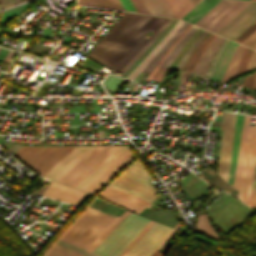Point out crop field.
Masks as SVG:
<instances>
[{"label":"crop field","instance_id":"obj_1","mask_svg":"<svg viewBox=\"0 0 256 256\" xmlns=\"http://www.w3.org/2000/svg\"><path fill=\"white\" fill-rule=\"evenodd\" d=\"M166 20L126 13L87 55L113 68L112 73L120 71ZM148 30L153 33L145 38Z\"/></svg>","mask_w":256,"mask_h":256},{"label":"crop field","instance_id":"obj_2","mask_svg":"<svg viewBox=\"0 0 256 256\" xmlns=\"http://www.w3.org/2000/svg\"><path fill=\"white\" fill-rule=\"evenodd\" d=\"M251 117L245 116L233 186L240 190L239 200L248 202L256 163V124L249 126Z\"/></svg>","mask_w":256,"mask_h":256},{"label":"crop field","instance_id":"obj_3","mask_svg":"<svg viewBox=\"0 0 256 256\" xmlns=\"http://www.w3.org/2000/svg\"><path fill=\"white\" fill-rule=\"evenodd\" d=\"M150 220L129 214L93 251L100 256H119Z\"/></svg>","mask_w":256,"mask_h":256},{"label":"crop field","instance_id":"obj_4","mask_svg":"<svg viewBox=\"0 0 256 256\" xmlns=\"http://www.w3.org/2000/svg\"><path fill=\"white\" fill-rule=\"evenodd\" d=\"M74 147L75 146H22L13 155L43 176Z\"/></svg>","mask_w":256,"mask_h":256},{"label":"crop field","instance_id":"obj_5","mask_svg":"<svg viewBox=\"0 0 256 256\" xmlns=\"http://www.w3.org/2000/svg\"><path fill=\"white\" fill-rule=\"evenodd\" d=\"M250 3L248 1L222 0L195 25L216 33Z\"/></svg>","mask_w":256,"mask_h":256},{"label":"crop field","instance_id":"obj_6","mask_svg":"<svg viewBox=\"0 0 256 256\" xmlns=\"http://www.w3.org/2000/svg\"><path fill=\"white\" fill-rule=\"evenodd\" d=\"M105 230L106 227L79 216L66 230L62 238L88 249Z\"/></svg>","mask_w":256,"mask_h":256},{"label":"crop field","instance_id":"obj_7","mask_svg":"<svg viewBox=\"0 0 256 256\" xmlns=\"http://www.w3.org/2000/svg\"><path fill=\"white\" fill-rule=\"evenodd\" d=\"M118 146H96L76 164L59 182L74 187Z\"/></svg>","mask_w":256,"mask_h":256},{"label":"crop field","instance_id":"obj_8","mask_svg":"<svg viewBox=\"0 0 256 256\" xmlns=\"http://www.w3.org/2000/svg\"><path fill=\"white\" fill-rule=\"evenodd\" d=\"M134 158L129 148L122 153L112 164H110L100 175H98L83 191L95 195L105 186L118 172H120Z\"/></svg>","mask_w":256,"mask_h":256},{"label":"crop field","instance_id":"obj_9","mask_svg":"<svg viewBox=\"0 0 256 256\" xmlns=\"http://www.w3.org/2000/svg\"><path fill=\"white\" fill-rule=\"evenodd\" d=\"M236 114L224 112L220 130H224L218 173L226 181Z\"/></svg>","mask_w":256,"mask_h":256},{"label":"crop field","instance_id":"obj_10","mask_svg":"<svg viewBox=\"0 0 256 256\" xmlns=\"http://www.w3.org/2000/svg\"><path fill=\"white\" fill-rule=\"evenodd\" d=\"M170 230L171 228L155 222L128 256H149Z\"/></svg>","mask_w":256,"mask_h":256},{"label":"crop field","instance_id":"obj_11","mask_svg":"<svg viewBox=\"0 0 256 256\" xmlns=\"http://www.w3.org/2000/svg\"><path fill=\"white\" fill-rule=\"evenodd\" d=\"M255 20L256 2H252L228 24H226L220 31H218L217 34L233 40Z\"/></svg>","mask_w":256,"mask_h":256},{"label":"crop field","instance_id":"obj_12","mask_svg":"<svg viewBox=\"0 0 256 256\" xmlns=\"http://www.w3.org/2000/svg\"><path fill=\"white\" fill-rule=\"evenodd\" d=\"M95 146H76L59 163H57L44 177L58 181L65 175L76 163H78Z\"/></svg>","mask_w":256,"mask_h":256},{"label":"crop field","instance_id":"obj_13","mask_svg":"<svg viewBox=\"0 0 256 256\" xmlns=\"http://www.w3.org/2000/svg\"><path fill=\"white\" fill-rule=\"evenodd\" d=\"M99 197L106 199L112 203L122 206L128 210L135 213L141 212L149 203L138 199L128 193L120 191L116 188L109 186L105 191H103Z\"/></svg>","mask_w":256,"mask_h":256},{"label":"crop field","instance_id":"obj_14","mask_svg":"<svg viewBox=\"0 0 256 256\" xmlns=\"http://www.w3.org/2000/svg\"><path fill=\"white\" fill-rule=\"evenodd\" d=\"M42 196L50 197L53 199L61 200L71 204L81 206L89 195L71 189L54 181L43 192Z\"/></svg>","mask_w":256,"mask_h":256},{"label":"crop field","instance_id":"obj_15","mask_svg":"<svg viewBox=\"0 0 256 256\" xmlns=\"http://www.w3.org/2000/svg\"><path fill=\"white\" fill-rule=\"evenodd\" d=\"M129 146H119L113 151L103 162H101L92 172H90L75 188L82 190L88 185L98 174H100L110 163H112L122 152Z\"/></svg>","mask_w":256,"mask_h":256},{"label":"crop field","instance_id":"obj_16","mask_svg":"<svg viewBox=\"0 0 256 256\" xmlns=\"http://www.w3.org/2000/svg\"><path fill=\"white\" fill-rule=\"evenodd\" d=\"M242 121H243V116L237 115L232 152H231V159H230V165H229V171H228V179H227V183L231 185L233 183V177H234V171H235V165H236V159H237V153H238V147H239V141H240V135H241Z\"/></svg>","mask_w":256,"mask_h":256},{"label":"crop field","instance_id":"obj_17","mask_svg":"<svg viewBox=\"0 0 256 256\" xmlns=\"http://www.w3.org/2000/svg\"><path fill=\"white\" fill-rule=\"evenodd\" d=\"M123 174L155 190L154 186L150 184V181L153 179L146 170V168L144 167V165L142 164V162L140 161V159Z\"/></svg>","mask_w":256,"mask_h":256},{"label":"crop field","instance_id":"obj_18","mask_svg":"<svg viewBox=\"0 0 256 256\" xmlns=\"http://www.w3.org/2000/svg\"><path fill=\"white\" fill-rule=\"evenodd\" d=\"M140 215L172 227H174L178 223L174 217V212L169 209L152 211L146 208L140 213Z\"/></svg>","mask_w":256,"mask_h":256},{"label":"crop field","instance_id":"obj_19","mask_svg":"<svg viewBox=\"0 0 256 256\" xmlns=\"http://www.w3.org/2000/svg\"><path fill=\"white\" fill-rule=\"evenodd\" d=\"M246 47L242 45H238L227 69L226 72L221 80V83L227 82L229 80H233L236 76L237 70L239 68V65L241 63V60L244 56V53L246 51Z\"/></svg>","mask_w":256,"mask_h":256},{"label":"crop field","instance_id":"obj_20","mask_svg":"<svg viewBox=\"0 0 256 256\" xmlns=\"http://www.w3.org/2000/svg\"><path fill=\"white\" fill-rule=\"evenodd\" d=\"M221 0H203L182 19L195 23Z\"/></svg>","mask_w":256,"mask_h":256},{"label":"crop field","instance_id":"obj_21","mask_svg":"<svg viewBox=\"0 0 256 256\" xmlns=\"http://www.w3.org/2000/svg\"><path fill=\"white\" fill-rule=\"evenodd\" d=\"M150 14L175 18L166 0H143Z\"/></svg>","mask_w":256,"mask_h":256},{"label":"crop field","instance_id":"obj_22","mask_svg":"<svg viewBox=\"0 0 256 256\" xmlns=\"http://www.w3.org/2000/svg\"><path fill=\"white\" fill-rule=\"evenodd\" d=\"M237 43L231 41V43L228 45V47L226 48L213 76H212V79L216 80V81H220L236 47H237Z\"/></svg>","mask_w":256,"mask_h":256},{"label":"crop field","instance_id":"obj_23","mask_svg":"<svg viewBox=\"0 0 256 256\" xmlns=\"http://www.w3.org/2000/svg\"><path fill=\"white\" fill-rule=\"evenodd\" d=\"M188 23L184 22L182 26L176 31V33L169 39V41L163 46V48L157 53V55L150 61V63L144 68L142 72L147 74L153 69L156 63L160 60L163 54L167 51V49L172 45V43L177 39V37L181 34V32L186 28Z\"/></svg>","mask_w":256,"mask_h":256},{"label":"crop field","instance_id":"obj_24","mask_svg":"<svg viewBox=\"0 0 256 256\" xmlns=\"http://www.w3.org/2000/svg\"><path fill=\"white\" fill-rule=\"evenodd\" d=\"M196 29L197 27H194L193 25L191 26L188 32L184 35V37L180 40V42L176 45V47L172 50V52L168 55V57L161 64L160 67L168 69V67L171 65L175 57L178 55L180 50L183 48V46L186 44L189 38L193 35Z\"/></svg>","mask_w":256,"mask_h":256},{"label":"crop field","instance_id":"obj_25","mask_svg":"<svg viewBox=\"0 0 256 256\" xmlns=\"http://www.w3.org/2000/svg\"><path fill=\"white\" fill-rule=\"evenodd\" d=\"M82 214V213H81ZM85 218H88L92 221H95L99 224H102L106 227H108L109 225H111L115 220L116 218H113L111 216H108V215H105L101 212H98L96 210H93L89 207L86 208V210L83 212V214L81 215Z\"/></svg>","mask_w":256,"mask_h":256},{"label":"crop field","instance_id":"obj_26","mask_svg":"<svg viewBox=\"0 0 256 256\" xmlns=\"http://www.w3.org/2000/svg\"><path fill=\"white\" fill-rule=\"evenodd\" d=\"M217 37V35L210 34L209 37L203 42V44L198 48V50L195 52L193 57L190 59L188 65L185 68V71L192 72L196 63L199 61L201 56L204 54V52L207 50L209 45L214 41V39Z\"/></svg>","mask_w":256,"mask_h":256},{"label":"crop field","instance_id":"obj_27","mask_svg":"<svg viewBox=\"0 0 256 256\" xmlns=\"http://www.w3.org/2000/svg\"><path fill=\"white\" fill-rule=\"evenodd\" d=\"M90 207L95 208L99 211L107 213L111 216L118 218L121 214L125 212V210L118 208L110 203H107L102 200L95 199Z\"/></svg>","mask_w":256,"mask_h":256},{"label":"crop field","instance_id":"obj_28","mask_svg":"<svg viewBox=\"0 0 256 256\" xmlns=\"http://www.w3.org/2000/svg\"><path fill=\"white\" fill-rule=\"evenodd\" d=\"M183 21H179L177 25L171 30V32L165 37V39L158 45V47L149 55V57L136 69V71L127 79L133 81L136 76L143 70V68L149 63V61L156 55V53L162 48V46L168 41V39L175 33V31L181 26Z\"/></svg>","mask_w":256,"mask_h":256},{"label":"crop field","instance_id":"obj_29","mask_svg":"<svg viewBox=\"0 0 256 256\" xmlns=\"http://www.w3.org/2000/svg\"><path fill=\"white\" fill-rule=\"evenodd\" d=\"M191 24L188 25V27L183 31V33L178 37V39L173 43V45L168 49V51L165 53L161 61L157 64V66L152 70V72L149 74L147 80L154 79L157 81H162V78L166 72V69L158 68L160 64L163 62V60L167 57V55L170 53V51L174 48V46L178 43V41L183 37V35L186 33V31L190 28Z\"/></svg>","mask_w":256,"mask_h":256},{"label":"crop field","instance_id":"obj_30","mask_svg":"<svg viewBox=\"0 0 256 256\" xmlns=\"http://www.w3.org/2000/svg\"><path fill=\"white\" fill-rule=\"evenodd\" d=\"M176 18H181L192 7L188 0H167Z\"/></svg>","mask_w":256,"mask_h":256},{"label":"crop field","instance_id":"obj_31","mask_svg":"<svg viewBox=\"0 0 256 256\" xmlns=\"http://www.w3.org/2000/svg\"><path fill=\"white\" fill-rule=\"evenodd\" d=\"M197 217L198 221L196 223V228H193L192 231L205 233L206 235L213 239L218 238L213 229L211 228V226L209 225L205 214L198 215Z\"/></svg>","mask_w":256,"mask_h":256},{"label":"crop field","instance_id":"obj_32","mask_svg":"<svg viewBox=\"0 0 256 256\" xmlns=\"http://www.w3.org/2000/svg\"><path fill=\"white\" fill-rule=\"evenodd\" d=\"M225 39L224 38H220L219 41L211 48V50L208 52V54L205 56V58L203 59L197 74L199 75H205L215 53L217 52L218 48L220 47V45L223 43ZM196 73V72H195Z\"/></svg>","mask_w":256,"mask_h":256},{"label":"crop field","instance_id":"obj_33","mask_svg":"<svg viewBox=\"0 0 256 256\" xmlns=\"http://www.w3.org/2000/svg\"><path fill=\"white\" fill-rule=\"evenodd\" d=\"M173 20L168 19L163 26L151 37V39L138 51V53L126 64V66L120 71L124 73L129 66L147 49V47L165 30V28L172 22ZM132 66V65H131ZM130 66V67H131Z\"/></svg>","mask_w":256,"mask_h":256},{"label":"crop field","instance_id":"obj_34","mask_svg":"<svg viewBox=\"0 0 256 256\" xmlns=\"http://www.w3.org/2000/svg\"><path fill=\"white\" fill-rule=\"evenodd\" d=\"M48 256H82L73 251L65 249L57 244H54L46 253Z\"/></svg>","mask_w":256,"mask_h":256},{"label":"crop field","instance_id":"obj_35","mask_svg":"<svg viewBox=\"0 0 256 256\" xmlns=\"http://www.w3.org/2000/svg\"><path fill=\"white\" fill-rule=\"evenodd\" d=\"M129 214V212H125L121 215L107 230L97 239V241L88 249V251L92 252L100 242Z\"/></svg>","mask_w":256,"mask_h":256},{"label":"crop field","instance_id":"obj_36","mask_svg":"<svg viewBox=\"0 0 256 256\" xmlns=\"http://www.w3.org/2000/svg\"><path fill=\"white\" fill-rule=\"evenodd\" d=\"M208 33V31L203 30L201 32V34L196 38V40L192 43L191 47L189 48V50L187 51V53L184 55V57L182 58V60L179 62V64L177 65L176 69L181 70L182 66L184 65V63L186 62V60L188 59V57L190 56L191 52L194 50V48L197 46V44L204 38V36Z\"/></svg>","mask_w":256,"mask_h":256},{"label":"crop field","instance_id":"obj_37","mask_svg":"<svg viewBox=\"0 0 256 256\" xmlns=\"http://www.w3.org/2000/svg\"><path fill=\"white\" fill-rule=\"evenodd\" d=\"M111 186L116 187V188H118L120 190H123L125 192H128V193H130V194H132V195H134L136 197H139V198H141V199H143V200H145V201H147L149 203H151V201H152V199H150V198H148V197H146V196H144V195H142V194H140V193H138V192H136V191H134V190H132V189H130V188H128V187L118 183V182H116V181H114L111 184Z\"/></svg>","mask_w":256,"mask_h":256},{"label":"crop field","instance_id":"obj_38","mask_svg":"<svg viewBox=\"0 0 256 256\" xmlns=\"http://www.w3.org/2000/svg\"><path fill=\"white\" fill-rule=\"evenodd\" d=\"M121 81L122 78L108 75V77L105 79L103 83L106 89H109L113 93V91L116 89V87L119 85Z\"/></svg>","mask_w":256,"mask_h":256},{"label":"crop field","instance_id":"obj_39","mask_svg":"<svg viewBox=\"0 0 256 256\" xmlns=\"http://www.w3.org/2000/svg\"><path fill=\"white\" fill-rule=\"evenodd\" d=\"M154 222L151 221L147 227L138 235V237L129 245V247L120 255L127 256V254L132 250V248L137 244V242L142 238V236L147 232V230L152 226Z\"/></svg>","mask_w":256,"mask_h":256},{"label":"crop field","instance_id":"obj_40","mask_svg":"<svg viewBox=\"0 0 256 256\" xmlns=\"http://www.w3.org/2000/svg\"><path fill=\"white\" fill-rule=\"evenodd\" d=\"M252 51H253L252 49H249V48L247 49V51H246V53H245V56H244V58H243V60H242L241 66H240V68H239L238 74H237L236 77H238V76L244 74V72H245V70H246V67H247V65H248V63H249V60H250Z\"/></svg>","mask_w":256,"mask_h":256},{"label":"crop field","instance_id":"obj_41","mask_svg":"<svg viewBox=\"0 0 256 256\" xmlns=\"http://www.w3.org/2000/svg\"><path fill=\"white\" fill-rule=\"evenodd\" d=\"M100 2L104 8L121 10L117 0H100Z\"/></svg>","mask_w":256,"mask_h":256},{"label":"crop field","instance_id":"obj_42","mask_svg":"<svg viewBox=\"0 0 256 256\" xmlns=\"http://www.w3.org/2000/svg\"><path fill=\"white\" fill-rule=\"evenodd\" d=\"M118 1L121 4L123 10L137 12L132 0H118Z\"/></svg>","mask_w":256,"mask_h":256},{"label":"crop field","instance_id":"obj_43","mask_svg":"<svg viewBox=\"0 0 256 256\" xmlns=\"http://www.w3.org/2000/svg\"><path fill=\"white\" fill-rule=\"evenodd\" d=\"M256 30V23H254L250 28H248L244 33H242L238 38L235 39V41L241 43L243 40H245L251 33H253Z\"/></svg>","mask_w":256,"mask_h":256},{"label":"crop field","instance_id":"obj_44","mask_svg":"<svg viewBox=\"0 0 256 256\" xmlns=\"http://www.w3.org/2000/svg\"><path fill=\"white\" fill-rule=\"evenodd\" d=\"M243 44L248 45L250 47H253L256 49V31L248 38L246 39Z\"/></svg>","mask_w":256,"mask_h":256},{"label":"crop field","instance_id":"obj_45","mask_svg":"<svg viewBox=\"0 0 256 256\" xmlns=\"http://www.w3.org/2000/svg\"><path fill=\"white\" fill-rule=\"evenodd\" d=\"M135 4L137 5L140 13H146L149 14L147 8L145 7L144 3L142 0H134Z\"/></svg>","mask_w":256,"mask_h":256},{"label":"crop field","instance_id":"obj_46","mask_svg":"<svg viewBox=\"0 0 256 256\" xmlns=\"http://www.w3.org/2000/svg\"><path fill=\"white\" fill-rule=\"evenodd\" d=\"M255 68H256V52L254 51V52H253V55H252V57H251L250 63H249V65H248V67H247L246 72L251 71V70H253V69H255ZM246 72H245V73H246Z\"/></svg>","mask_w":256,"mask_h":256},{"label":"crop field","instance_id":"obj_47","mask_svg":"<svg viewBox=\"0 0 256 256\" xmlns=\"http://www.w3.org/2000/svg\"><path fill=\"white\" fill-rule=\"evenodd\" d=\"M17 1L18 0H2V2L0 1L1 2L0 9L12 6V5L16 4Z\"/></svg>","mask_w":256,"mask_h":256},{"label":"crop field","instance_id":"obj_48","mask_svg":"<svg viewBox=\"0 0 256 256\" xmlns=\"http://www.w3.org/2000/svg\"><path fill=\"white\" fill-rule=\"evenodd\" d=\"M254 74H255V73L244 77V82H243V85H244V86H247V87H250V88H251L252 82H253V78H254Z\"/></svg>","mask_w":256,"mask_h":256},{"label":"crop field","instance_id":"obj_49","mask_svg":"<svg viewBox=\"0 0 256 256\" xmlns=\"http://www.w3.org/2000/svg\"><path fill=\"white\" fill-rule=\"evenodd\" d=\"M246 204L256 209V191H252L250 203H246Z\"/></svg>","mask_w":256,"mask_h":256},{"label":"crop field","instance_id":"obj_50","mask_svg":"<svg viewBox=\"0 0 256 256\" xmlns=\"http://www.w3.org/2000/svg\"><path fill=\"white\" fill-rule=\"evenodd\" d=\"M16 55H17L16 52L9 51L6 58L4 59V62L11 64V62L13 61Z\"/></svg>","mask_w":256,"mask_h":256},{"label":"crop field","instance_id":"obj_51","mask_svg":"<svg viewBox=\"0 0 256 256\" xmlns=\"http://www.w3.org/2000/svg\"><path fill=\"white\" fill-rule=\"evenodd\" d=\"M78 4L96 6L97 7L94 0H78Z\"/></svg>","mask_w":256,"mask_h":256},{"label":"crop field","instance_id":"obj_52","mask_svg":"<svg viewBox=\"0 0 256 256\" xmlns=\"http://www.w3.org/2000/svg\"><path fill=\"white\" fill-rule=\"evenodd\" d=\"M220 38V36H218L217 38H216V40L211 44V46L208 48V50L205 52V54L202 56V58L200 59V61L197 63V65H196V67H195V69H194V71L193 72H196L197 71V69H198V67H199V65H200V63H201V61H202V59L204 58V56L207 54V52L210 50V48L218 41V39Z\"/></svg>","mask_w":256,"mask_h":256},{"label":"crop field","instance_id":"obj_53","mask_svg":"<svg viewBox=\"0 0 256 256\" xmlns=\"http://www.w3.org/2000/svg\"><path fill=\"white\" fill-rule=\"evenodd\" d=\"M179 225V223L171 230V232L164 238V240L157 246L155 251L160 247V245L169 237V235L176 229V227Z\"/></svg>","mask_w":256,"mask_h":256},{"label":"crop field","instance_id":"obj_54","mask_svg":"<svg viewBox=\"0 0 256 256\" xmlns=\"http://www.w3.org/2000/svg\"><path fill=\"white\" fill-rule=\"evenodd\" d=\"M189 1H190L191 5H192V7H193V6L196 5L200 0H189Z\"/></svg>","mask_w":256,"mask_h":256},{"label":"crop field","instance_id":"obj_55","mask_svg":"<svg viewBox=\"0 0 256 256\" xmlns=\"http://www.w3.org/2000/svg\"><path fill=\"white\" fill-rule=\"evenodd\" d=\"M151 256H164V255L159 254V253H157V252L154 251Z\"/></svg>","mask_w":256,"mask_h":256},{"label":"crop field","instance_id":"obj_56","mask_svg":"<svg viewBox=\"0 0 256 256\" xmlns=\"http://www.w3.org/2000/svg\"><path fill=\"white\" fill-rule=\"evenodd\" d=\"M252 88L256 89V74H255V79H254V83H253V87Z\"/></svg>","mask_w":256,"mask_h":256},{"label":"crop field","instance_id":"obj_57","mask_svg":"<svg viewBox=\"0 0 256 256\" xmlns=\"http://www.w3.org/2000/svg\"><path fill=\"white\" fill-rule=\"evenodd\" d=\"M252 190H256V180H254V185H253V189Z\"/></svg>","mask_w":256,"mask_h":256},{"label":"crop field","instance_id":"obj_58","mask_svg":"<svg viewBox=\"0 0 256 256\" xmlns=\"http://www.w3.org/2000/svg\"><path fill=\"white\" fill-rule=\"evenodd\" d=\"M95 1H96V3H97L98 7H102L101 4H100V2H99V0H95ZM103 8H104V7H103Z\"/></svg>","mask_w":256,"mask_h":256},{"label":"crop field","instance_id":"obj_59","mask_svg":"<svg viewBox=\"0 0 256 256\" xmlns=\"http://www.w3.org/2000/svg\"><path fill=\"white\" fill-rule=\"evenodd\" d=\"M5 145H6L5 143H2V145H1V146H3V147H4Z\"/></svg>","mask_w":256,"mask_h":256},{"label":"crop field","instance_id":"obj_60","mask_svg":"<svg viewBox=\"0 0 256 256\" xmlns=\"http://www.w3.org/2000/svg\"><path fill=\"white\" fill-rule=\"evenodd\" d=\"M44 256H46V255H44Z\"/></svg>","mask_w":256,"mask_h":256}]
</instances>
